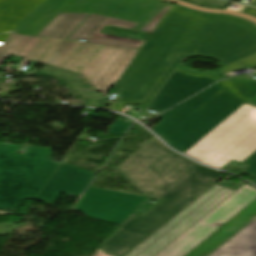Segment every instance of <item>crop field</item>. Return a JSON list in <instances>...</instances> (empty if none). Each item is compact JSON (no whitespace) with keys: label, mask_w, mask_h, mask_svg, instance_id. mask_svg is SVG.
Segmentation results:
<instances>
[{"label":"crop field","mask_w":256,"mask_h":256,"mask_svg":"<svg viewBox=\"0 0 256 256\" xmlns=\"http://www.w3.org/2000/svg\"><path fill=\"white\" fill-rule=\"evenodd\" d=\"M254 53L256 34L248 28L168 9L114 86L121 95L109 109L123 113V104L148 106L182 56H206L228 65Z\"/></svg>","instance_id":"8a807250"},{"label":"crop field","mask_w":256,"mask_h":256,"mask_svg":"<svg viewBox=\"0 0 256 256\" xmlns=\"http://www.w3.org/2000/svg\"><path fill=\"white\" fill-rule=\"evenodd\" d=\"M139 25L91 14L69 38L85 43L46 38L29 59L79 72L107 97L145 42L143 36L112 29L132 32Z\"/></svg>","instance_id":"ac0d7876"},{"label":"crop field","mask_w":256,"mask_h":256,"mask_svg":"<svg viewBox=\"0 0 256 256\" xmlns=\"http://www.w3.org/2000/svg\"><path fill=\"white\" fill-rule=\"evenodd\" d=\"M142 146L145 163L167 182L161 197L170 201L159 210L151 207L142 216L132 214L119 231L101 244L112 255L125 256L223 177L220 172L171 151L155 137Z\"/></svg>","instance_id":"34b2d1b8"},{"label":"crop field","mask_w":256,"mask_h":256,"mask_svg":"<svg viewBox=\"0 0 256 256\" xmlns=\"http://www.w3.org/2000/svg\"><path fill=\"white\" fill-rule=\"evenodd\" d=\"M161 3L159 0H45L3 43L0 65L10 54L27 58L44 36L66 39L89 12L143 23Z\"/></svg>","instance_id":"412701ff"},{"label":"crop field","mask_w":256,"mask_h":256,"mask_svg":"<svg viewBox=\"0 0 256 256\" xmlns=\"http://www.w3.org/2000/svg\"><path fill=\"white\" fill-rule=\"evenodd\" d=\"M17 145L0 144V210L16 211L25 199H35L58 163L50 148L30 147L16 154Z\"/></svg>","instance_id":"f4fd0767"},{"label":"crop field","mask_w":256,"mask_h":256,"mask_svg":"<svg viewBox=\"0 0 256 256\" xmlns=\"http://www.w3.org/2000/svg\"><path fill=\"white\" fill-rule=\"evenodd\" d=\"M256 150V108L244 103L185 154L221 169L242 162Z\"/></svg>","instance_id":"dd49c442"},{"label":"crop field","mask_w":256,"mask_h":256,"mask_svg":"<svg viewBox=\"0 0 256 256\" xmlns=\"http://www.w3.org/2000/svg\"><path fill=\"white\" fill-rule=\"evenodd\" d=\"M244 102H246L244 99L221 84L200 100L160 138L172 148L184 152Z\"/></svg>","instance_id":"e52e79f7"},{"label":"crop field","mask_w":256,"mask_h":256,"mask_svg":"<svg viewBox=\"0 0 256 256\" xmlns=\"http://www.w3.org/2000/svg\"><path fill=\"white\" fill-rule=\"evenodd\" d=\"M235 190L216 184L126 256H154Z\"/></svg>","instance_id":"d8731c3e"},{"label":"crop field","mask_w":256,"mask_h":256,"mask_svg":"<svg viewBox=\"0 0 256 256\" xmlns=\"http://www.w3.org/2000/svg\"><path fill=\"white\" fill-rule=\"evenodd\" d=\"M256 198V189L245 184L155 256H184Z\"/></svg>","instance_id":"5a996713"},{"label":"crop field","mask_w":256,"mask_h":256,"mask_svg":"<svg viewBox=\"0 0 256 256\" xmlns=\"http://www.w3.org/2000/svg\"><path fill=\"white\" fill-rule=\"evenodd\" d=\"M146 197L89 187L75 209L121 225Z\"/></svg>","instance_id":"3316defc"},{"label":"crop field","mask_w":256,"mask_h":256,"mask_svg":"<svg viewBox=\"0 0 256 256\" xmlns=\"http://www.w3.org/2000/svg\"><path fill=\"white\" fill-rule=\"evenodd\" d=\"M215 82L209 78H199L175 71L150 107L162 112L189 98L206 86Z\"/></svg>","instance_id":"28ad6ade"},{"label":"crop field","mask_w":256,"mask_h":256,"mask_svg":"<svg viewBox=\"0 0 256 256\" xmlns=\"http://www.w3.org/2000/svg\"><path fill=\"white\" fill-rule=\"evenodd\" d=\"M120 170L145 194L159 200L153 207L159 209L168 202L160 198L165 192L162 186L166 182L144 163L142 147L120 165Z\"/></svg>","instance_id":"d1516ede"},{"label":"crop field","mask_w":256,"mask_h":256,"mask_svg":"<svg viewBox=\"0 0 256 256\" xmlns=\"http://www.w3.org/2000/svg\"><path fill=\"white\" fill-rule=\"evenodd\" d=\"M256 216V199L245 207L241 212L216 230L207 239L195 247L186 256H205L216 248L219 244L230 237L240 227Z\"/></svg>","instance_id":"22f410ed"},{"label":"crop field","mask_w":256,"mask_h":256,"mask_svg":"<svg viewBox=\"0 0 256 256\" xmlns=\"http://www.w3.org/2000/svg\"><path fill=\"white\" fill-rule=\"evenodd\" d=\"M43 1L0 0V42H5L21 20Z\"/></svg>","instance_id":"cbeb9de0"},{"label":"crop field","mask_w":256,"mask_h":256,"mask_svg":"<svg viewBox=\"0 0 256 256\" xmlns=\"http://www.w3.org/2000/svg\"><path fill=\"white\" fill-rule=\"evenodd\" d=\"M210 256H256V219Z\"/></svg>","instance_id":"5142ce71"},{"label":"crop field","mask_w":256,"mask_h":256,"mask_svg":"<svg viewBox=\"0 0 256 256\" xmlns=\"http://www.w3.org/2000/svg\"><path fill=\"white\" fill-rule=\"evenodd\" d=\"M58 169L37 198L47 204H54L79 168L62 163Z\"/></svg>","instance_id":"d9b57169"},{"label":"crop field","mask_w":256,"mask_h":256,"mask_svg":"<svg viewBox=\"0 0 256 256\" xmlns=\"http://www.w3.org/2000/svg\"><path fill=\"white\" fill-rule=\"evenodd\" d=\"M222 82L224 81H221L215 84L214 86L210 87L209 89L202 92L201 94L178 105L174 110H169L166 113L159 116L163 119L152 128V131L160 136L170 126H172L179 118H181L190 108H192L200 99H202L208 92H210L213 88H215L217 85L221 84Z\"/></svg>","instance_id":"733c2abd"},{"label":"crop field","mask_w":256,"mask_h":256,"mask_svg":"<svg viewBox=\"0 0 256 256\" xmlns=\"http://www.w3.org/2000/svg\"><path fill=\"white\" fill-rule=\"evenodd\" d=\"M94 176L95 173L79 169L72 181L64 190V193L80 198L82 192Z\"/></svg>","instance_id":"4a817a6b"},{"label":"crop field","mask_w":256,"mask_h":256,"mask_svg":"<svg viewBox=\"0 0 256 256\" xmlns=\"http://www.w3.org/2000/svg\"><path fill=\"white\" fill-rule=\"evenodd\" d=\"M170 9L176 10L181 13L189 14V15H194V16H200V17H206V18H212V19L233 20V21H236V22H239V23L245 25L246 27H248L249 29H251L252 31H254L256 33V24H254L244 18L235 17V16L205 14V13L192 11L188 8L181 7V6H175V5H172Z\"/></svg>","instance_id":"bc2a9ffb"},{"label":"crop field","mask_w":256,"mask_h":256,"mask_svg":"<svg viewBox=\"0 0 256 256\" xmlns=\"http://www.w3.org/2000/svg\"><path fill=\"white\" fill-rule=\"evenodd\" d=\"M222 84L227 86L229 89H231L247 101L256 94V85L230 81H226Z\"/></svg>","instance_id":"214f88e0"},{"label":"crop field","mask_w":256,"mask_h":256,"mask_svg":"<svg viewBox=\"0 0 256 256\" xmlns=\"http://www.w3.org/2000/svg\"><path fill=\"white\" fill-rule=\"evenodd\" d=\"M253 66H256V54L254 55H251L249 57H246L242 60H239L235 63H232L228 66H225L221 69L218 70V73L220 75L228 72V71H231V70H235V69H239V68H244V67H253Z\"/></svg>","instance_id":"92a150f3"},{"label":"crop field","mask_w":256,"mask_h":256,"mask_svg":"<svg viewBox=\"0 0 256 256\" xmlns=\"http://www.w3.org/2000/svg\"><path fill=\"white\" fill-rule=\"evenodd\" d=\"M171 6V4L165 3L164 6L154 14L146 23H144L137 32L149 33L160 21L166 10Z\"/></svg>","instance_id":"dafd665d"},{"label":"crop field","mask_w":256,"mask_h":256,"mask_svg":"<svg viewBox=\"0 0 256 256\" xmlns=\"http://www.w3.org/2000/svg\"><path fill=\"white\" fill-rule=\"evenodd\" d=\"M130 125H131L130 122L116 119V121L113 123V125L108 130V132L123 135L124 132L129 128Z\"/></svg>","instance_id":"00972430"},{"label":"crop field","mask_w":256,"mask_h":256,"mask_svg":"<svg viewBox=\"0 0 256 256\" xmlns=\"http://www.w3.org/2000/svg\"><path fill=\"white\" fill-rule=\"evenodd\" d=\"M243 163L250 165L244 173L256 178V151L243 161ZM252 182L256 183V179Z\"/></svg>","instance_id":"a9b5d70f"},{"label":"crop field","mask_w":256,"mask_h":256,"mask_svg":"<svg viewBox=\"0 0 256 256\" xmlns=\"http://www.w3.org/2000/svg\"><path fill=\"white\" fill-rule=\"evenodd\" d=\"M176 70L180 71V72H183L185 74H189V75H194V76H199V77H210V78H213L216 81L221 79V77H219L217 74H200V73H196V72H192L190 70L184 69V68L179 67V66H177Z\"/></svg>","instance_id":"4177f3b9"},{"label":"crop field","mask_w":256,"mask_h":256,"mask_svg":"<svg viewBox=\"0 0 256 256\" xmlns=\"http://www.w3.org/2000/svg\"><path fill=\"white\" fill-rule=\"evenodd\" d=\"M229 178H230V176H227V177L224 178L221 182H219V184H221L223 181H225L226 179H229ZM230 179H231V178H230ZM244 184H245V183H244L243 181H240V182L232 181V182H230V183L227 184V185H224V184H222V185L237 190L238 188H240V187H241L242 185H244Z\"/></svg>","instance_id":"730fd06b"},{"label":"crop field","mask_w":256,"mask_h":256,"mask_svg":"<svg viewBox=\"0 0 256 256\" xmlns=\"http://www.w3.org/2000/svg\"><path fill=\"white\" fill-rule=\"evenodd\" d=\"M233 79H235V80L256 81V80L252 79L250 75H245V76H241V77H236V78H233Z\"/></svg>","instance_id":"eef30255"},{"label":"crop field","mask_w":256,"mask_h":256,"mask_svg":"<svg viewBox=\"0 0 256 256\" xmlns=\"http://www.w3.org/2000/svg\"><path fill=\"white\" fill-rule=\"evenodd\" d=\"M94 256H111V255L105 254L101 251V249H98L97 253Z\"/></svg>","instance_id":"ae1a2a85"},{"label":"crop field","mask_w":256,"mask_h":256,"mask_svg":"<svg viewBox=\"0 0 256 256\" xmlns=\"http://www.w3.org/2000/svg\"><path fill=\"white\" fill-rule=\"evenodd\" d=\"M232 1H234V0H232Z\"/></svg>","instance_id":"d3111659"}]
</instances>
